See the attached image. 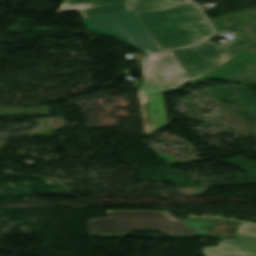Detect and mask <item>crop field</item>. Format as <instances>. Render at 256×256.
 <instances>
[{"mask_svg": "<svg viewBox=\"0 0 256 256\" xmlns=\"http://www.w3.org/2000/svg\"><path fill=\"white\" fill-rule=\"evenodd\" d=\"M132 4L139 19L164 50L204 41L215 35L196 5L189 0H141Z\"/></svg>", "mask_w": 256, "mask_h": 256, "instance_id": "8a807250", "label": "crop field"}, {"mask_svg": "<svg viewBox=\"0 0 256 256\" xmlns=\"http://www.w3.org/2000/svg\"><path fill=\"white\" fill-rule=\"evenodd\" d=\"M108 218L88 220L91 236L125 237L132 230H159L173 238L194 232L167 211H107Z\"/></svg>", "mask_w": 256, "mask_h": 256, "instance_id": "ac0d7876", "label": "crop field"}, {"mask_svg": "<svg viewBox=\"0 0 256 256\" xmlns=\"http://www.w3.org/2000/svg\"><path fill=\"white\" fill-rule=\"evenodd\" d=\"M82 21L89 31L114 37L146 54L162 50L133 11Z\"/></svg>", "mask_w": 256, "mask_h": 256, "instance_id": "34b2d1b8", "label": "crop field"}, {"mask_svg": "<svg viewBox=\"0 0 256 256\" xmlns=\"http://www.w3.org/2000/svg\"><path fill=\"white\" fill-rule=\"evenodd\" d=\"M254 40L253 37H244L225 47L207 41L172 52L194 80L216 69Z\"/></svg>", "mask_w": 256, "mask_h": 256, "instance_id": "412701ff", "label": "crop field"}, {"mask_svg": "<svg viewBox=\"0 0 256 256\" xmlns=\"http://www.w3.org/2000/svg\"><path fill=\"white\" fill-rule=\"evenodd\" d=\"M141 67L144 82L140 90L145 95L169 92L192 81L171 51L148 56Z\"/></svg>", "mask_w": 256, "mask_h": 256, "instance_id": "f4fd0767", "label": "crop field"}, {"mask_svg": "<svg viewBox=\"0 0 256 256\" xmlns=\"http://www.w3.org/2000/svg\"><path fill=\"white\" fill-rule=\"evenodd\" d=\"M187 225L196 230V234L207 235L219 239H235L238 221L218 218L190 217L183 220Z\"/></svg>", "mask_w": 256, "mask_h": 256, "instance_id": "dd49c442", "label": "crop field"}, {"mask_svg": "<svg viewBox=\"0 0 256 256\" xmlns=\"http://www.w3.org/2000/svg\"><path fill=\"white\" fill-rule=\"evenodd\" d=\"M205 256H256V242L244 240H220L218 246H207Z\"/></svg>", "mask_w": 256, "mask_h": 256, "instance_id": "e52e79f7", "label": "crop field"}, {"mask_svg": "<svg viewBox=\"0 0 256 256\" xmlns=\"http://www.w3.org/2000/svg\"><path fill=\"white\" fill-rule=\"evenodd\" d=\"M152 129L157 132L164 125L168 124L167 114L165 110L162 95L147 96Z\"/></svg>", "mask_w": 256, "mask_h": 256, "instance_id": "d8731c3e", "label": "crop field"}, {"mask_svg": "<svg viewBox=\"0 0 256 256\" xmlns=\"http://www.w3.org/2000/svg\"><path fill=\"white\" fill-rule=\"evenodd\" d=\"M126 1L129 0H63L57 13L100 7Z\"/></svg>", "mask_w": 256, "mask_h": 256, "instance_id": "5a996713", "label": "crop field"}, {"mask_svg": "<svg viewBox=\"0 0 256 256\" xmlns=\"http://www.w3.org/2000/svg\"><path fill=\"white\" fill-rule=\"evenodd\" d=\"M130 10H131L130 3L126 2V3L111 5V6L82 10L80 11V13L84 18H88V17H95V16H101V15L121 13L125 11H130Z\"/></svg>", "mask_w": 256, "mask_h": 256, "instance_id": "3316defc", "label": "crop field"}, {"mask_svg": "<svg viewBox=\"0 0 256 256\" xmlns=\"http://www.w3.org/2000/svg\"><path fill=\"white\" fill-rule=\"evenodd\" d=\"M236 239L256 240V225L240 222Z\"/></svg>", "mask_w": 256, "mask_h": 256, "instance_id": "28ad6ade", "label": "crop field"}, {"mask_svg": "<svg viewBox=\"0 0 256 256\" xmlns=\"http://www.w3.org/2000/svg\"><path fill=\"white\" fill-rule=\"evenodd\" d=\"M138 96H139L144 132H145V134H151L152 129H151V123H150V117H149L146 96L141 94L140 91L138 92Z\"/></svg>", "mask_w": 256, "mask_h": 256, "instance_id": "d1516ede", "label": "crop field"}, {"mask_svg": "<svg viewBox=\"0 0 256 256\" xmlns=\"http://www.w3.org/2000/svg\"><path fill=\"white\" fill-rule=\"evenodd\" d=\"M30 108H4L0 107V115H22L29 114Z\"/></svg>", "mask_w": 256, "mask_h": 256, "instance_id": "22f410ed", "label": "crop field"}, {"mask_svg": "<svg viewBox=\"0 0 256 256\" xmlns=\"http://www.w3.org/2000/svg\"><path fill=\"white\" fill-rule=\"evenodd\" d=\"M30 114H50V107H49V105L32 107Z\"/></svg>", "mask_w": 256, "mask_h": 256, "instance_id": "cbeb9de0", "label": "crop field"}, {"mask_svg": "<svg viewBox=\"0 0 256 256\" xmlns=\"http://www.w3.org/2000/svg\"><path fill=\"white\" fill-rule=\"evenodd\" d=\"M132 1H135V0H132Z\"/></svg>", "mask_w": 256, "mask_h": 256, "instance_id": "5142ce71", "label": "crop field"}]
</instances>
